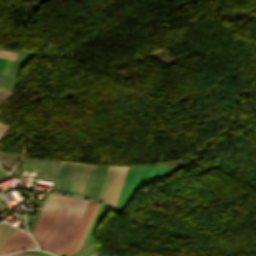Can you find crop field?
I'll return each mask as SVG.
<instances>
[{
  "mask_svg": "<svg viewBox=\"0 0 256 256\" xmlns=\"http://www.w3.org/2000/svg\"><path fill=\"white\" fill-rule=\"evenodd\" d=\"M95 166L62 162L55 191L85 197Z\"/></svg>",
  "mask_w": 256,
  "mask_h": 256,
  "instance_id": "obj_1",
  "label": "crop field"
},
{
  "mask_svg": "<svg viewBox=\"0 0 256 256\" xmlns=\"http://www.w3.org/2000/svg\"><path fill=\"white\" fill-rule=\"evenodd\" d=\"M79 201V199L75 198H64L41 247L42 249L56 252Z\"/></svg>",
  "mask_w": 256,
  "mask_h": 256,
  "instance_id": "obj_2",
  "label": "crop field"
},
{
  "mask_svg": "<svg viewBox=\"0 0 256 256\" xmlns=\"http://www.w3.org/2000/svg\"><path fill=\"white\" fill-rule=\"evenodd\" d=\"M166 165L128 168L116 209H120L133 190L140 184L162 176Z\"/></svg>",
  "mask_w": 256,
  "mask_h": 256,
  "instance_id": "obj_3",
  "label": "crop field"
},
{
  "mask_svg": "<svg viewBox=\"0 0 256 256\" xmlns=\"http://www.w3.org/2000/svg\"><path fill=\"white\" fill-rule=\"evenodd\" d=\"M89 201H85V200H81L76 211H75V214L69 224V227L62 239V242L57 250V254L61 255V256H64L67 248H68V245L73 237V234L79 224V221L84 213V210L87 206Z\"/></svg>",
  "mask_w": 256,
  "mask_h": 256,
  "instance_id": "obj_4",
  "label": "crop field"
},
{
  "mask_svg": "<svg viewBox=\"0 0 256 256\" xmlns=\"http://www.w3.org/2000/svg\"><path fill=\"white\" fill-rule=\"evenodd\" d=\"M95 205H96L95 203H93L91 201L89 202V204H88V206H87V208L85 210V213H84V215H83V217H82V219L80 221V224H79V226H78V228H77V230H76V232L74 234V237H73V239H72V241H71V243L69 245V248H68L65 256H68L69 254L74 252V250H75V248H76V246H77V244L79 242V239H80V237H81V235H82V233H83V231L85 229V226H86V224H87V222H88V220L90 218V215H91Z\"/></svg>",
  "mask_w": 256,
  "mask_h": 256,
  "instance_id": "obj_5",
  "label": "crop field"
},
{
  "mask_svg": "<svg viewBox=\"0 0 256 256\" xmlns=\"http://www.w3.org/2000/svg\"><path fill=\"white\" fill-rule=\"evenodd\" d=\"M118 168L119 167H113V166L108 167L106 177H105L98 201H101V202L107 204V201H108Z\"/></svg>",
  "mask_w": 256,
  "mask_h": 256,
  "instance_id": "obj_6",
  "label": "crop field"
},
{
  "mask_svg": "<svg viewBox=\"0 0 256 256\" xmlns=\"http://www.w3.org/2000/svg\"><path fill=\"white\" fill-rule=\"evenodd\" d=\"M128 166L120 167L107 206L114 211L116 201Z\"/></svg>",
  "mask_w": 256,
  "mask_h": 256,
  "instance_id": "obj_7",
  "label": "crop field"
},
{
  "mask_svg": "<svg viewBox=\"0 0 256 256\" xmlns=\"http://www.w3.org/2000/svg\"><path fill=\"white\" fill-rule=\"evenodd\" d=\"M98 206H99V205L97 204L96 207H95V209H94V211H93V213H92V216H91V218H90V220H89V222H88V224H87V226H86V229H85V231H84V233H83V235H82V237H81V240H80V242H79V244H78L76 250L79 249V247H80V245H81V243H82V241H83V239H84V236H85V234H86V232H87V230H88V228H89V225H90V223H91V221H92V219H93V217H94V214H95V212H96ZM95 215H96V214H95ZM90 226H91V225H90ZM76 250H75V251H76Z\"/></svg>",
  "mask_w": 256,
  "mask_h": 256,
  "instance_id": "obj_8",
  "label": "crop field"
},
{
  "mask_svg": "<svg viewBox=\"0 0 256 256\" xmlns=\"http://www.w3.org/2000/svg\"><path fill=\"white\" fill-rule=\"evenodd\" d=\"M9 60L0 58V73L6 74Z\"/></svg>",
  "mask_w": 256,
  "mask_h": 256,
  "instance_id": "obj_9",
  "label": "crop field"
},
{
  "mask_svg": "<svg viewBox=\"0 0 256 256\" xmlns=\"http://www.w3.org/2000/svg\"><path fill=\"white\" fill-rule=\"evenodd\" d=\"M12 226H10L7 223L2 222L0 224V238L11 228Z\"/></svg>",
  "mask_w": 256,
  "mask_h": 256,
  "instance_id": "obj_10",
  "label": "crop field"
},
{
  "mask_svg": "<svg viewBox=\"0 0 256 256\" xmlns=\"http://www.w3.org/2000/svg\"><path fill=\"white\" fill-rule=\"evenodd\" d=\"M16 230V228L12 227L1 239L0 245Z\"/></svg>",
  "mask_w": 256,
  "mask_h": 256,
  "instance_id": "obj_11",
  "label": "crop field"
},
{
  "mask_svg": "<svg viewBox=\"0 0 256 256\" xmlns=\"http://www.w3.org/2000/svg\"><path fill=\"white\" fill-rule=\"evenodd\" d=\"M9 93H10L9 90L0 89V98L6 99Z\"/></svg>",
  "mask_w": 256,
  "mask_h": 256,
  "instance_id": "obj_12",
  "label": "crop field"
},
{
  "mask_svg": "<svg viewBox=\"0 0 256 256\" xmlns=\"http://www.w3.org/2000/svg\"><path fill=\"white\" fill-rule=\"evenodd\" d=\"M8 128V126L0 124V138L3 136V134L7 131Z\"/></svg>",
  "mask_w": 256,
  "mask_h": 256,
  "instance_id": "obj_13",
  "label": "crop field"
},
{
  "mask_svg": "<svg viewBox=\"0 0 256 256\" xmlns=\"http://www.w3.org/2000/svg\"><path fill=\"white\" fill-rule=\"evenodd\" d=\"M9 256H35V255H29V254H23V253H15Z\"/></svg>",
  "mask_w": 256,
  "mask_h": 256,
  "instance_id": "obj_14",
  "label": "crop field"
}]
</instances>
